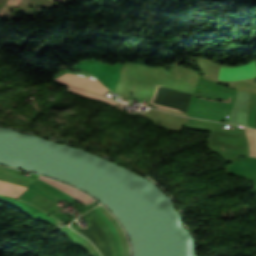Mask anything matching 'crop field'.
I'll list each match as a JSON object with an SVG mask.
<instances>
[{
    "label": "crop field",
    "mask_w": 256,
    "mask_h": 256,
    "mask_svg": "<svg viewBox=\"0 0 256 256\" xmlns=\"http://www.w3.org/2000/svg\"><path fill=\"white\" fill-rule=\"evenodd\" d=\"M191 96V94L157 86L150 104L156 106L157 109L185 116Z\"/></svg>",
    "instance_id": "8a807250"
},
{
    "label": "crop field",
    "mask_w": 256,
    "mask_h": 256,
    "mask_svg": "<svg viewBox=\"0 0 256 256\" xmlns=\"http://www.w3.org/2000/svg\"><path fill=\"white\" fill-rule=\"evenodd\" d=\"M55 80H58V83H62V84L82 88V89L89 90V91H92V92H96V93H99V94H102V95L107 91V89L104 88L99 83V81L87 79V78L80 77V76L73 75V74H69V73H66V74L62 75V76L58 77Z\"/></svg>",
    "instance_id": "ac0d7876"
},
{
    "label": "crop field",
    "mask_w": 256,
    "mask_h": 256,
    "mask_svg": "<svg viewBox=\"0 0 256 256\" xmlns=\"http://www.w3.org/2000/svg\"><path fill=\"white\" fill-rule=\"evenodd\" d=\"M254 76H256L255 61L250 64H246V65H242L234 68L221 67L218 79L234 81V80H240V79H245V78L254 77Z\"/></svg>",
    "instance_id": "34b2d1b8"
},
{
    "label": "crop field",
    "mask_w": 256,
    "mask_h": 256,
    "mask_svg": "<svg viewBox=\"0 0 256 256\" xmlns=\"http://www.w3.org/2000/svg\"><path fill=\"white\" fill-rule=\"evenodd\" d=\"M0 180L10 182V183H14V184H18V185L25 186V187H27L28 185H30L34 181V179L19 176V175H16V174L5 172V171H3L0 174Z\"/></svg>",
    "instance_id": "412701ff"
},
{
    "label": "crop field",
    "mask_w": 256,
    "mask_h": 256,
    "mask_svg": "<svg viewBox=\"0 0 256 256\" xmlns=\"http://www.w3.org/2000/svg\"><path fill=\"white\" fill-rule=\"evenodd\" d=\"M68 90L72 93H77V94H80V95H83V96H86V97H91V98H95V99H99V100H103L105 102H108L112 105H117L119 103L111 100V99H108L104 96H101V95H98V94H94V93H91V92H87V91H83V90H79V89H74V88H68Z\"/></svg>",
    "instance_id": "f4fd0767"
},
{
    "label": "crop field",
    "mask_w": 256,
    "mask_h": 256,
    "mask_svg": "<svg viewBox=\"0 0 256 256\" xmlns=\"http://www.w3.org/2000/svg\"><path fill=\"white\" fill-rule=\"evenodd\" d=\"M245 131L250 149L249 155L256 157V130L245 127Z\"/></svg>",
    "instance_id": "dd49c442"
},
{
    "label": "crop field",
    "mask_w": 256,
    "mask_h": 256,
    "mask_svg": "<svg viewBox=\"0 0 256 256\" xmlns=\"http://www.w3.org/2000/svg\"><path fill=\"white\" fill-rule=\"evenodd\" d=\"M101 210H103L113 221H114V223L117 225V227H118V229H119V231H120V233H121V235H122V237H123V239H124V241H125V245H126V256H129V247H128V244H127V241H126V237H125V235H124V233H123V231H122V229H121V227H120V225L117 223V221L112 217V215L104 208V207H102V206H98ZM103 212V213H104ZM104 213V214H105ZM105 214V215H106ZM106 215V216H107ZM107 216V217H108ZM108 217V218H109ZM109 218V219H110ZM110 219V220H111ZM111 220V222L113 223V221ZM113 223V225L115 226V228H116V230L118 231V229H117V227H116V225ZM119 231H118V233H119ZM120 233H119V235H120ZM121 235H120V237H121ZM122 237H121V239H122ZM123 239H122V241H123ZM124 241H123V246H124ZM124 255H125V246H124Z\"/></svg>",
    "instance_id": "e52e79f7"
}]
</instances>
